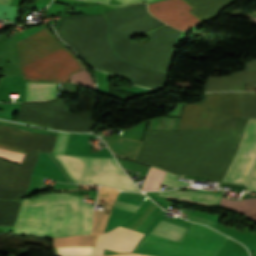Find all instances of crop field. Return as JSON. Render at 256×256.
<instances>
[{"mask_svg":"<svg viewBox=\"0 0 256 256\" xmlns=\"http://www.w3.org/2000/svg\"><path fill=\"white\" fill-rule=\"evenodd\" d=\"M249 119L234 132L148 130L137 161L174 172L222 180Z\"/></svg>","mask_w":256,"mask_h":256,"instance_id":"1","label":"crop field"},{"mask_svg":"<svg viewBox=\"0 0 256 256\" xmlns=\"http://www.w3.org/2000/svg\"><path fill=\"white\" fill-rule=\"evenodd\" d=\"M110 24L109 39L116 55L139 67L165 72L176 39L182 31L169 26L155 31L149 43L138 44L131 39L166 24L153 18L145 4L121 6L104 13Z\"/></svg>","mask_w":256,"mask_h":256,"instance_id":"2","label":"crop field"},{"mask_svg":"<svg viewBox=\"0 0 256 256\" xmlns=\"http://www.w3.org/2000/svg\"><path fill=\"white\" fill-rule=\"evenodd\" d=\"M107 27L102 15L64 17L56 31L90 66L134 84L163 89L169 74L139 69L119 60L108 43Z\"/></svg>","mask_w":256,"mask_h":256,"instance_id":"3","label":"crop field"},{"mask_svg":"<svg viewBox=\"0 0 256 256\" xmlns=\"http://www.w3.org/2000/svg\"><path fill=\"white\" fill-rule=\"evenodd\" d=\"M93 207L71 194H45L23 200L13 232L45 237L90 233Z\"/></svg>","mask_w":256,"mask_h":256,"instance_id":"4","label":"crop field"},{"mask_svg":"<svg viewBox=\"0 0 256 256\" xmlns=\"http://www.w3.org/2000/svg\"><path fill=\"white\" fill-rule=\"evenodd\" d=\"M55 138L0 125V148L26 153L21 166L0 159V199L22 200L38 154L52 153ZM20 203L0 201V226L13 227Z\"/></svg>","mask_w":256,"mask_h":256,"instance_id":"5","label":"crop field"},{"mask_svg":"<svg viewBox=\"0 0 256 256\" xmlns=\"http://www.w3.org/2000/svg\"><path fill=\"white\" fill-rule=\"evenodd\" d=\"M18 47L21 73L32 81L69 82L72 74L85 69L46 28L19 41Z\"/></svg>","mask_w":256,"mask_h":256,"instance_id":"6","label":"crop field"},{"mask_svg":"<svg viewBox=\"0 0 256 256\" xmlns=\"http://www.w3.org/2000/svg\"><path fill=\"white\" fill-rule=\"evenodd\" d=\"M203 101L186 104L181 129L233 131L240 117L237 92L204 93Z\"/></svg>","mask_w":256,"mask_h":256,"instance_id":"7","label":"crop field"},{"mask_svg":"<svg viewBox=\"0 0 256 256\" xmlns=\"http://www.w3.org/2000/svg\"><path fill=\"white\" fill-rule=\"evenodd\" d=\"M227 239L204 225L192 223L179 243L149 234L134 252L154 256H216Z\"/></svg>","mask_w":256,"mask_h":256,"instance_id":"8","label":"crop field"},{"mask_svg":"<svg viewBox=\"0 0 256 256\" xmlns=\"http://www.w3.org/2000/svg\"><path fill=\"white\" fill-rule=\"evenodd\" d=\"M54 155V154H53ZM75 183L106 185L139 191L115 159L54 155Z\"/></svg>","mask_w":256,"mask_h":256,"instance_id":"9","label":"crop field"},{"mask_svg":"<svg viewBox=\"0 0 256 256\" xmlns=\"http://www.w3.org/2000/svg\"><path fill=\"white\" fill-rule=\"evenodd\" d=\"M19 114L21 121L61 131L89 132L93 123L91 112L68 114L59 99L22 103Z\"/></svg>","mask_w":256,"mask_h":256,"instance_id":"10","label":"crop field"},{"mask_svg":"<svg viewBox=\"0 0 256 256\" xmlns=\"http://www.w3.org/2000/svg\"><path fill=\"white\" fill-rule=\"evenodd\" d=\"M256 163V120H249L238 152L223 180L245 185Z\"/></svg>","mask_w":256,"mask_h":256,"instance_id":"11","label":"crop field"},{"mask_svg":"<svg viewBox=\"0 0 256 256\" xmlns=\"http://www.w3.org/2000/svg\"><path fill=\"white\" fill-rule=\"evenodd\" d=\"M191 9L183 0H163L148 5L150 13L170 26L181 30L201 21L188 12Z\"/></svg>","mask_w":256,"mask_h":256,"instance_id":"12","label":"crop field"},{"mask_svg":"<svg viewBox=\"0 0 256 256\" xmlns=\"http://www.w3.org/2000/svg\"><path fill=\"white\" fill-rule=\"evenodd\" d=\"M143 235L144 233L118 226L99 235L95 255H103L104 248L115 252H131Z\"/></svg>","mask_w":256,"mask_h":256,"instance_id":"13","label":"crop field"},{"mask_svg":"<svg viewBox=\"0 0 256 256\" xmlns=\"http://www.w3.org/2000/svg\"><path fill=\"white\" fill-rule=\"evenodd\" d=\"M245 84H256V60L246 64V71L222 78H209L206 91H245Z\"/></svg>","mask_w":256,"mask_h":256,"instance_id":"14","label":"crop field"},{"mask_svg":"<svg viewBox=\"0 0 256 256\" xmlns=\"http://www.w3.org/2000/svg\"><path fill=\"white\" fill-rule=\"evenodd\" d=\"M193 9L190 11L203 21L216 17L219 10L228 6L233 0H184Z\"/></svg>","mask_w":256,"mask_h":256,"instance_id":"15","label":"crop field"},{"mask_svg":"<svg viewBox=\"0 0 256 256\" xmlns=\"http://www.w3.org/2000/svg\"><path fill=\"white\" fill-rule=\"evenodd\" d=\"M159 195L174 197L189 202L202 203V204H219L221 194L207 193V192H185V191H165L160 192Z\"/></svg>","mask_w":256,"mask_h":256,"instance_id":"16","label":"crop field"},{"mask_svg":"<svg viewBox=\"0 0 256 256\" xmlns=\"http://www.w3.org/2000/svg\"><path fill=\"white\" fill-rule=\"evenodd\" d=\"M56 85L53 83L26 82V101L53 99Z\"/></svg>","mask_w":256,"mask_h":256,"instance_id":"17","label":"crop field"},{"mask_svg":"<svg viewBox=\"0 0 256 256\" xmlns=\"http://www.w3.org/2000/svg\"><path fill=\"white\" fill-rule=\"evenodd\" d=\"M242 118L256 119V95L255 92H238Z\"/></svg>","mask_w":256,"mask_h":256,"instance_id":"18","label":"crop field"},{"mask_svg":"<svg viewBox=\"0 0 256 256\" xmlns=\"http://www.w3.org/2000/svg\"><path fill=\"white\" fill-rule=\"evenodd\" d=\"M220 204L226 207H229L231 209L237 210L239 212H242L256 219V198L245 199L242 201H233V200H228L222 197Z\"/></svg>","mask_w":256,"mask_h":256,"instance_id":"19","label":"crop field"},{"mask_svg":"<svg viewBox=\"0 0 256 256\" xmlns=\"http://www.w3.org/2000/svg\"><path fill=\"white\" fill-rule=\"evenodd\" d=\"M184 231L185 229L159 222V224L151 231V234L178 242Z\"/></svg>","mask_w":256,"mask_h":256,"instance_id":"20","label":"crop field"},{"mask_svg":"<svg viewBox=\"0 0 256 256\" xmlns=\"http://www.w3.org/2000/svg\"><path fill=\"white\" fill-rule=\"evenodd\" d=\"M71 82H77V83L85 84V85L90 86L92 88H96V86L94 85L91 77L89 76V74L85 70L74 74L72 76Z\"/></svg>","mask_w":256,"mask_h":256,"instance_id":"21","label":"crop field"},{"mask_svg":"<svg viewBox=\"0 0 256 256\" xmlns=\"http://www.w3.org/2000/svg\"><path fill=\"white\" fill-rule=\"evenodd\" d=\"M25 154L0 149V157L16 163H22Z\"/></svg>","mask_w":256,"mask_h":256,"instance_id":"22","label":"crop field"},{"mask_svg":"<svg viewBox=\"0 0 256 256\" xmlns=\"http://www.w3.org/2000/svg\"><path fill=\"white\" fill-rule=\"evenodd\" d=\"M70 133H59L53 153L64 154Z\"/></svg>","mask_w":256,"mask_h":256,"instance_id":"23","label":"crop field"},{"mask_svg":"<svg viewBox=\"0 0 256 256\" xmlns=\"http://www.w3.org/2000/svg\"><path fill=\"white\" fill-rule=\"evenodd\" d=\"M163 184L169 185L171 187L174 188H178V187H182V186H186L189 185L187 183L181 182L179 180H176V176L170 173H166L164 179H163Z\"/></svg>","mask_w":256,"mask_h":256,"instance_id":"24","label":"crop field"},{"mask_svg":"<svg viewBox=\"0 0 256 256\" xmlns=\"http://www.w3.org/2000/svg\"><path fill=\"white\" fill-rule=\"evenodd\" d=\"M114 207L134 212L138 206L116 201Z\"/></svg>","mask_w":256,"mask_h":256,"instance_id":"25","label":"crop field"},{"mask_svg":"<svg viewBox=\"0 0 256 256\" xmlns=\"http://www.w3.org/2000/svg\"><path fill=\"white\" fill-rule=\"evenodd\" d=\"M247 189L256 191V168L247 184Z\"/></svg>","mask_w":256,"mask_h":256,"instance_id":"26","label":"crop field"},{"mask_svg":"<svg viewBox=\"0 0 256 256\" xmlns=\"http://www.w3.org/2000/svg\"><path fill=\"white\" fill-rule=\"evenodd\" d=\"M123 4H128V3H135V2H145V3H151L156 0H119Z\"/></svg>","mask_w":256,"mask_h":256,"instance_id":"27","label":"crop field"},{"mask_svg":"<svg viewBox=\"0 0 256 256\" xmlns=\"http://www.w3.org/2000/svg\"><path fill=\"white\" fill-rule=\"evenodd\" d=\"M109 256H142V255L135 254V253H128V254L109 255Z\"/></svg>","mask_w":256,"mask_h":256,"instance_id":"28","label":"crop field"},{"mask_svg":"<svg viewBox=\"0 0 256 256\" xmlns=\"http://www.w3.org/2000/svg\"><path fill=\"white\" fill-rule=\"evenodd\" d=\"M11 0H0V3H4V4H10Z\"/></svg>","mask_w":256,"mask_h":256,"instance_id":"29","label":"crop field"},{"mask_svg":"<svg viewBox=\"0 0 256 256\" xmlns=\"http://www.w3.org/2000/svg\"><path fill=\"white\" fill-rule=\"evenodd\" d=\"M97 1H102V2H106V3L109 2V0H97Z\"/></svg>","mask_w":256,"mask_h":256,"instance_id":"30","label":"crop field"},{"mask_svg":"<svg viewBox=\"0 0 256 256\" xmlns=\"http://www.w3.org/2000/svg\"><path fill=\"white\" fill-rule=\"evenodd\" d=\"M143 256H146V255H143Z\"/></svg>","mask_w":256,"mask_h":256,"instance_id":"31","label":"crop field"}]
</instances>
